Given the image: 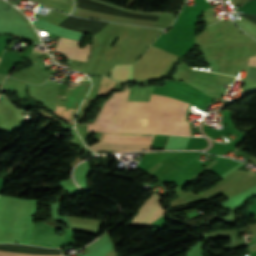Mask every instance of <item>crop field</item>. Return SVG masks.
Listing matches in <instances>:
<instances>
[{
    "label": "crop field",
    "mask_w": 256,
    "mask_h": 256,
    "mask_svg": "<svg viewBox=\"0 0 256 256\" xmlns=\"http://www.w3.org/2000/svg\"><path fill=\"white\" fill-rule=\"evenodd\" d=\"M162 199L156 195L152 194L148 200L141 205L138 210L136 217L129 223V225L134 226H146L161 215L165 214V210L159 206V202Z\"/></svg>",
    "instance_id": "34b2d1b8"
},
{
    "label": "crop field",
    "mask_w": 256,
    "mask_h": 256,
    "mask_svg": "<svg viewBox=\"0 0 256 256\" xmlns=\"http://www.w3.org/2000/svg\"><path fill=\"white\" fill-rule=\"evenodd\" d=\"M0 256H49V255L20 254V253H9V252L0 251Z\"/></svg>",
    "instance_id": "dd49c442"
},
{
    "label": "crop field",
    "mask_w": 256,
    "mask_h": 256,
    "mask_svg": "<svg viewBox=\"0 0 256 256\" xmlns=\"http://www.w3.org/2000/svg\"><path fill=\"white\" fill-rule=\"evenodd\" d=\"M248 67L256 68V55L249 58Z\"/></svg>",
    "instance_id": "e52e79f7"
},
{
    "label": "crop field",
    "mask_w": 256,
    "mask_h": 256,
    "mask_svg": "<svg viewBox=\"0 0 256 256\" xmlns=\"http://www.w3.org/2000/svg\"><path fill=\"white\" fill-rule=\"evenodd\" d=\"M149 102H128L122 126L88 125L94 132H141ZM186 103L153 95L142 132L190 136L185 121Z\"/></svg>",
    "instance_id": "8a807250"
},
{
    "label": "crop field",
    "mask_w": 256,
    "mask_h": 256,
    "mask_svg": "<svg viewBox=\"0 0 256 256\" xmlns=\"http://www.w3.org/2000/svg\"><path fill=\"white\" fill-rule=\"evenodd\" d=\"M111 74L113 79L132 81V64L115 65Z\"/></svg>",
    "instance_id": "f4fd0767"
},
{
    "label": "crop field",
    "mask_w": 256,
    "mask_h": 256,
    "mask_svg": "<svg viewBox=\"0 0 256 256\" xmlns=\"http://www.w3.org/2000/svg\"><path fill=\"white\" fill-rule=\"evenodd\" d=\"M79 45H80V42L60 37L56 46V50L65 53L64 56L68 58L86 62L90 45L87 44L82 49L79 48Z\"/></svg>",
    "instance_id": "412701ff"
},
{
    "label": "crop field",
    "mask_w": 256,
    "mask_h": 256,
    "mask_svg": "<svg viewBox=\"0 0 256 256\" xmlns=\"http://www.w3.org/2000/svg\"><path fill=\"white\" fill-rule=\"evenodd\" d=\"M55 1L61 2V3H65V4H66V2H67V0H55Z\"/></svg>",
    "instance_id": "d8731c3e"
},
{
    "label": "crop field",
    "mask_w": 256,
    "mask_h": 256,
    "mask_svg": "<svg viewBox=\"0 0 256 256\" xmlns=\"http://www.w3.org/2000/svg\"><path fill=\"white\" fill-rule=\"evenodd\" d=\"M104 134H109V133H97L94 138L99 141L88 147H90L96 153H99V151H123V150L149 149L153 141V138L155 136L153 135L152 137V136H128V135H104ZM129 135H136V134H129ZM151 137H152V140H151ZM150 140H151V143H150ZM100 141L101 143H125V144H149L150 143V145L99 144Z\"/></svg>",
    "instance_id": "ac0d7876"
}]
</instances>
